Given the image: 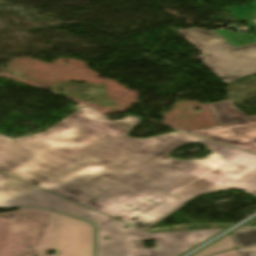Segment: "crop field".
Segmentation results:
<instances>
[{"mask_svg":"<svg viewBox=\"0 0 256 256\" xmlns=\"http://www.w3.org/2000/svg\"><path fill=\"white\" fill-rule=\"evenodd\" d=\"M240 256H256V247L239 248Z\"/></svg>","mask_w":256,"mask_h":256,"instance_id":"10","label":"crop field"},{"mask_svg":"<svg viewBox=\"0 0 256 256\" xmlns=\"http://www.w3.org/2000/svg\"><path fill=\"white\" fill-rule=\"evenodd\" d=\"M256 23V20H253Z\"/></svg>","mask_w":256,"mask_h":256,"instance_id":"13","label":"crop field"},{"mask_svg":"<svg viewBox=\"0 0 256 256\" xmlns=\"http://www.w3.org/2000/svg\"><path fill=\"white\" fill-rule=\"evenodd\" d=\"M210 107L220 126L189 133L256 153V116L245 115L229 100L212 103Z\"/></svg>","mask_w":256,"mask_h":256,"instance_id":"5","label":"crop field"},{"mask_svg":"<svg viewBox=\"0 0 256 256\" xmlns=\"http://www.w3.org/2000/svg\"><path fill=\"white\" fill-rule=\"evenodd\" d=\"M0 207H42L95 223L98 228L97 256H179L224 230L149 233L2 173ZM144 240H154L156 246L145 249Z\"/></svg>","mask_w":256,"mask_h":256,"instance_id":"2","label":"crop field"},{"mask_svg":"<svg viewBox=\"0 0 256 256\" xmlns=\"http://www.w3.org/2000/svg\"><path fill=\"white\" fill-rule=\"evenodd\" d=\"M232 234L238 247L256 245V228L240 227Z\"/></svg>","mask_w":256,"mask_h":256,"instance_id":"7","label":"crop field"},{"mask_svg":"<svg viewBox=\"0 0 256 256\" xmlns=\"http://www.w3.org/2000/svg\"><path fill=\"white\" fill-rule=\"evenodd\" d=\"M55 243V213L18 209L0 214V256H46L47 250H55Z\"/></svg>","mask_w":256,"mask_h":256,"instance_id":"3","label":"crop field"},{"mask_svg":"<svg viewBox=\"0 0 256 256\" xmlns=\"http://www.w3.org/2000/svg\"><path fill=\"white\" fill-rule=\"evenodd\" d=\"M225 11L233 15L234 17L247 22V27H250L256 34V25L248 19L251 10L246 6L225 8Z\"/></svg>","mask_w":256,"mask_h":256,"instance_id":"9","label":"crop field"},{"mask_svg":"<svg viewBox=\"0 0 256 256\" xmlns=\"http://www.w3.org/2000/svg\"><path fill=\"white\" fill-rule=\"evenodd\" d=\"M253 7H254V10L252 11V13L249 17L250 19H256V0H255Z\"/></svg>","mask_w":256,"mask_h":256,"instance_id":"12","label":"crop field"},{"mask_svg":"<svg viewBox=\"0 0 256 256\" xmlns=\"http://www.w3.org/2000/svg\"><path fill=\"white\" fill-rule=\"evenodd\" d=\"M139 121H110L83 107L44 133L0 135V172L144 230L197 196L228 189L256 196V155L179 132L128 137ZM190 142L212 154L168 156Z\"/></svg>","mask_w":256,"mask_h":256,"instance_id":"1","label":"crop field"},{"mask_svg":"<svg viewBox=\"0 0 256 256\" xmlns=\"http://www.w3.org/2000/svg\"><path fill=\"white\" fill-rule=\"evenodd\" d=\"M177 32L203 54L197 58L226 83L256 74V43L234 48L216 32L206 29L188 28Z\"/></svg>","mask_w":256,"mask_h":256,"instance_id":"4","label":"crop field"},{"mask_svg":"<svg viewBox=\"0 0 256 256\" xmlns=\"http://www.w3.org/2000/svg\"><path fill=\"white\" fill-rule=\"evenodd\" d=\"M94 227L80 219L57 214L56 252L48 256H93Z\"/></svg>","mask_w":256,"mask_h":256,"instance_id":"6","label":"crop field"},{"mask_svg":"<svg viewBox=\"0 0 256 256\" xmlns=\"http://www.w3.org/2000/svg\"><path fill=\"white\" fill-rule=\"evenodd\" d=\"M215 256H238V252H237V249H236V250L228 251V252L218 254V255H215Z\"/></svg>","mask_w":256,"mask_h":256,"instance_id":"11","label":"crop field"},{"mask_svg":"<svg viewBox=\"0 0 256 256\" xmlns=\"http://www.w3.org/2000/svg\"><path fill=\"white\" fill-rule=\"evenodd\" d=\"M234 247L235 246H234L231 234H228L225 237L221 238L220 240L216 241L215 243L209 245L208 247L204 248L203 250L199 251L198 253L192 256H206L209 254H213V253L220 252V251L227 250Z\"/></svg>","mask_w":256,"mask_h":256,"instance_id":"8","label":"crop field"}]
</instances>
